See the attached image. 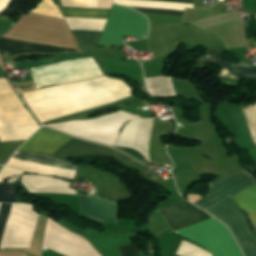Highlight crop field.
<instances>
[{"mask_svg":"<svg viewBox=\"0 0 256 256\" xmlns=\"http://www.w3.org/2000/svg\"><path fill=\"white\" fill-rule=\"evenodd\" d=\"M21 182L29 192L76 194L75 190L67 188L69 184L53 178L38 175H23Z\"/></svg>","mask_w":256,"mask_h":256,"instance_id":"cbeb9de0","label":"crop field"},{"mask_svg":"<svg viewBox=\"0 0 256 256\" xmlns=\"http://www.w3.org/2000/svg\"><path fill=\"white\" fill-rule=\"evenodd\" d=\"M3 51H9V55L18 53L76 52L75 50L5 39L1 37L0 52Z\"/></svg>","mask_w":256,"mask_h":256,"instance_id":"5142ce71","label":"crop field"},{"mask_svg":"<svg viewBox=\"0 0 256 256\" xmlns=\"http://www.w3.org/2000/svg\"><path fill=\"white\" fill-rule=\"evenodd\" d=\"M38 89L103 75L92 58H80L32 69Z\"/></svg>","mask_w":256,"mask_h":256,"instance_id":"412701ff","label":"crop field"},{"mask_svg":"<svg viewBox=\"0 0 256 256\" xmlns=\"http://www.w3.org/2000/svg\"><path fill=\"white\" fill-rule=\"evenodd\" d=\"M175 232L213 252L214 256H242L229 231L214 218Z\"/></svg>","mask_w":256,"mask_h":256,"instance_id":"f4fd0767","label":"crop field"},{"mask_svg":"<svg viewBox=\"0 0 256 256\" xmlns=\"http://www.w3.org/2000/svg\"><path fill=\"white\" fill-rule=\"evenodd\" d=\"M11 0H0V12L5 9L6 6L10 3Z\"/></svg>","mask_w":256,"mask_h":256,"instance_id":"4177f3b9","label":"crop field"},{"mask_svg":"<svg viewBox=\"0 0 256 256\" xmlns=\"http://www.w3.org/2000/svg\"><path fill=\"white\" fill-rule=\"evenodd\" d=\"M0 202L17 203L15 189L12 184L0 183Z\"/></svg>","mask_w":256,"mask_h":256,"instance_id":"bc2a9ffb","label":"crop field"},{"mask_svg":"<svg viewBox=\"0 0 256 256\" xmlns=\"http://www.w3.org/2000/svg\"><path fill=\"white\" fill-rule=\"evenodd\" d=\"M160 213L173 231L206 219L197 208L186 201Z\"/></svg>","mask_w":256,"mask_h":256,"instance_id":"28ad6ade","label":"crop field"},{"mask_svg":"<svg viewBox=\"0 0 256 256\" xmlns=\"http://www.w3.org/2000/svg\"><path fill=\"white\" fill-rule=\"evenodd\" d=\"M13 158L76 171L75 166L69 163L60 161L56 158L45 156V155L16 152ZM14 159H11L7 164V166L29 171V172H36V173L44 174L47 176L55 175V176L68 178V179H73L76 173L74 171H69V170H64V169H59V168H54V167H49V166H44V165L14 160Z\"/></svg>","mask_w":256,"mask_h":256,"instance_id":"e52e79f7","label":"crop field"},{"mask_svg":"<svg viewBox=\"0 0 256 256\" xmlns=\"http://www.w3.org/2000/svg\"><path fill=\"white\" fill-rule=\"evenodd\" d=\"M71 138V136L43 127L19 150L51 154Z\"/></svg>","mask_w":256,"mask_h":256,"instance_id":"3316defc","label":"crop field"},{"mask_svg":"<svg viewBox=\"0 0 256 256\" xmlns=\"http://www.w3.org/2000/svg\"><path fill=\"white\" fill-rule=\"evenodd\" d=\"M2 166H0V168H1Z\"/></svg>","mask_w":256,"mask_h":256,"instance_id":"730fd06b","label":"crop field"},{"mask_svg":"<svg viewBox=\"0 0 256 256\" xmlns=\"http://www.w3.org/2000/svg\"><path fill=\"white\" fill-rule=\"evenodd\" d=\"M148 21L143 15L121 6H113L97 45H121L123 36L144 38Z\"/></svg>","mask_w":256,"mask_h":256,"instance_id":"dd49c442","label":"crop field"},{"mask_svg":"<svg viewBox=\"0 0 256 256\" xmlns=\"http://www.w3.org/2000/svg\"><path fill=\"white\" fill-rule=\"evenodd\" d=\"M255 183L252 174L243 168L209 183L208 194L192 201L231 229L245 256H256V234L245 215L228 198Z\"/></svg>","mask_w":256,"mask_h":256,"instance_id":"ac0d7876","label":"crop field"},{"mask_svg":"<svg viewBox=\"0 0 256 256\" xmlns=\"http://www.w3.org/2000/svg\"><path fill=\"white\" fill-rule=\"evenodd\" d=\"M21 173H23V171L4 167L0 172V182H4L5 178L8 176L19 175Z\"/></svg>","mask_w":256,"mask_h":256,"instance_id":"00972430","label":"crop field"},{"mask_svg":"<svg viewBox=\"0 0 256 256\" xmlns=\"http://www.w3.org/2000/svg\"><path fill=\"white\" fill-rule=\"evenodd\" d=\"M122 81L95 78L24 93L38 119L43 122L109 104L130 96Z\"/></svg>","mask_w":256,"mask_h":256,"instance_id":"8a807250","label":"crop field"},{"mask_svg":"<svg viewBox=\"0 0 256 256\" xmlns=\"http://www.w3.org/2000/svg\"><path fill=\"white\" fill-rule=\"evenodd\" d=\"M12 204H1L0 207V237L7 219V216L9 214L10 208Z\"/></svg>","mask_w":256,"mask_h":256,"instance_id":"dafd665d","label":"crop field"},{"mask_svg":"<svg viewBox=\"0 0 256 256\" xmlns=\"http://www.w3.org/2000/svg\"><path fill=\"white\" fill-rule=\"evenodd\" d=\"M204 59L217 62L224 66L222 76L256 80V66L225 56L215 48L209 51Z\"/></svg>","mask_w":256,"mask_h":256,"instance_id":"d1516ede","label":"crop field"},{"mask_svg":"<svg viewBox=\"0 0 256 256\" xmlns=\"http://www.w3.org/2000/svg\"><path fill=\"white\" fill-rule=\"evenodd\" d=\"M160 1L193 3V0H160ZM132 8L136 9L139 12H147V13H161V14H175V15H182L183 13V11H178V10H166V9L144 8V7H132Z\"/></svg>","mask_w":256,"mask_h":256,"instance_id":"214f88e0","label":"crop field"},{"mask_svg":"<svg viewBox=\"0 0 256 256\" xmlns=\"http://www.w3.org/2000/svg\"><path fill=\"white\" fill-rule=\"evenodd\" d=\"M79 204L83 215L98 221L116 223V203L93 195H79Z\"/></svg>","mask_w":256,"mask_h":256,"instance_id":"d8731c3e","label":"crop field"},{"mask_svg":"<svg viewBox=\"0 0 256 256\" xmlns=\"http://www.w3.org/2000/svg\"><path fill=\"white\" fill-rule=\"evenodd\" d=\"M66 20L106 22L111 10L59 7ZM78 44L96 45L100 35H74Z\"/></svg>","mask_w":256,"mask_h":256,"instance_id":"5a996713","label":"crop field"},{"mask_svg":"<svg viewBox=\"0 0 256 256\" xmlns=\"http://www.w3.org/2000/svg\"><path fill=\"white\" fill-rule=\"evenodd\" d=\"M230 199L236 201L249 214L256 230V184Z\"/></svg>","mask_w":256,"mask_h":256,"instance_id":"d9b57169","label":"crop field"},{"mask_svg":"<svg viewBox=\"0 0 256 256\" xmlns=\"http://www.w3.org/2000/svg\"><path fill=\"white\" fill-rule=\"evenodd\" d=\"M64 6L98 8L96 0H62Z\"/></svg>","mask_w":256,"mask_h":256,"instance_id":"92a150f3","label":"crop field"},{"mask_svg":"<svg viewBox=\"0 0 256 256\" xmlns=\"http://www.w3.org/2000/svg\"><path fill=\"white\" fill-rule=\"evenodd\" d=\"M37 126L5 79L0 80V142L27 140Z\"/></svg>","mask_w":256,"mask_h":256,"instance_id":"34b2d1b8","label":"crop field"},{"mask_svg":"<svg viewBox=\"0 0 256 256\" xmlns=\"http://www.w3.org/2000/svg\"><path fill=\"white\" fill-rule=\"evenodd\" d=\"M177 254L181 256H211L208 252L182 241Z\"/></svg>","mask_w":256,"mask_h":256,"instance_id":"4a817a6b","label":"crop field"},{"mask_svg":"<svg viewBox=\"0 0 256 256\" xmlns=\"http://www.w3.org/2000/svg\"><path fill=\"white\" fill-rule=\"evenodd\" d=\"M32 13L62 18V15L52 0H42L40 4L32 11Z\"/></svg>","mask_w":256,"mask_h":256,"instance_id":"733c2abd","label":"crop field"},{"mask_svg":"<svg viewBox=\"0 0 256 256\" xmlns=\"http://www.w3.org/2000/svg\"><path fill=\"white\" fill-rule=\"evenodd\" d=\"M122 256H139V250L133 245L119 248Z\"/></svg>","mask_w":256,"mask_h":256,"instance_id":"a9b5d70f","label":"crop field"},{"mask_svg":"<svg viewBox=\"0 0 256 256\" xmlns=\"http://www.w3.org/2000/svg\"><path fill=\"white\" fill-rule=\"evenodd\" d=\"M55 155H101V156H114L118 158H122L125 160H131L125 155L107 147L97 146L90 144L85 141L71 139L61 148H59L55 153Z\"/></svg>","mask_w":256,"mask_h":256,"instance_id":"22f410ed","label":"crop field"},{"mask_svg":"<svg viewBox=\"0 0 256 256\" xmlns=\"http://www.w3.org/2000/svg\"><path fill=\"white\" fill-rule=\"evenodd\" d=\"M29 256H31V255H29Z\"/></svg>","mask_w":256,"mask_h":256,"instance_id":"eef30255","label":"crop field"}]
</instances>
